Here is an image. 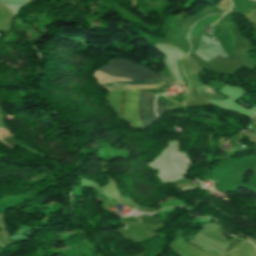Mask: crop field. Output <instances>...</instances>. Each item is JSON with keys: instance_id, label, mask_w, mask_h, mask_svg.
<instances>
[{"instance_id": "crop-field-1", "label": "crop field", "mask_w": 256, "mask_h": 256, "mask_svg": "<svg viewBox=\"0 0 256 256\" xmlns=\"http://www.w3.org/2000/svg\"><path fill=\"white\" fill-rule=\"evenodd\" d=\"M113 111L130 123L132 129L146 128L151 125L157 116L154 115V96L139 90V115H138V90L119 91L109 93L106 97Z\"/></svg>"}, {"instance_id": "crop-field-2", "label": "crop field", "mask_w": 256, "mask_h": 256, "mask_svg": "<svg viewBox=\"0 0 256 256\" xmlns=\"http://www.w3.org/2000/svg\"><path fill=\"white\" fill-rule=\"evenodd\" d=\"M98 72L105 73L112 76L124 77L129 79H151L155 77H159L154 72L133 64L131 62L125 61L123 59L113 61L111 63L106 64L103 68L98 69ZM97 72V73H98ZM166 82L168 85L172 84L165 80L164 78H156L152 80H144V81H121L115 83L104 84L106 88L118 85H129V84H153L158 82Z\"/></svg>"}, {"instance_id": "crop-field-3", "label": "crop field", "mask_w": 256, "mask_h": 256, "mask_svg": "<svg viewBox=\"0 0 256 256\" xmlns=\"http://www.w3.org/2000/svg\"><path fill=\"white\" fill-rule=\"evenodd\" d=\"M194 53L199 55L206 62H208L218 54L224 57L227 56V54L221 48L218 42H214L204 36H202L201 43Z\"/></svg>"}, {"instance_id": "crop-field-4", "label": "crop field", "mask_w": 256, "mask_h": 256, "mask_svg": "<svg viewBox=\"0 0 256 256\" xmlns=\"http://www.w3.org/2000/svg\"><path fill=\"white\" fill-rule=\"evenodd\" d=\"M156 114L158 116L165 114L164 105L160 101H156Z\"/></svg>"}, {"instance_id": "crop-field-5", "label": "crop field", "mask_w": 256, "mask_h": 256, "mask_svg": "<svg viewBox=\"0 0 256 256\" xmlns=\"http://www.w3.org/2000/svg\"><path fill=\"white\" fill-rule=\"evenodd\" d=\"M256 9V8H255Z\"/></svg>"}]
</instances>
